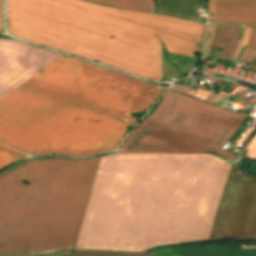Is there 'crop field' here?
Returning a JSON list of instances; mask_svg holds the SVG:
<instances>
[{"instance_id": "crop-field-1", "label": "crop field", "mask_w": 256, "mask_h": 256, "mask_svg": "<svg viewBox=\"0 0 256 256\" xmlns=\"http://www.w3.org/2000/svg\"><path fill=\"white\" fill-rule=\"evenodd\" d=\"M154 254L155 253L132 255V254H120V253L82 252V253L65 255V256H153Z\"/></svg>"}]
</instances>
